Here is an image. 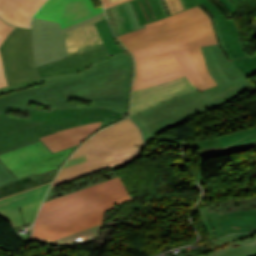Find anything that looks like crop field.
<instances>
[{"label":"crop field","mask_w":256,"mask_h":256,"mask_svg":"<svg viewBox=\"0 0 256 256\" xmlns=\"http://www.w3.org/2000/svg\"><path fill=\"white\" fill-rule=\"evenodd\" d=\"M42 85L0 96V112L37 109L30 103L52 109L105 106L128 113L132 61L127 52L94 62L87 70L41 78Z\"/></svg>","instance_id":"8a807250"},{"label":"crop field","mask_w":256,"mask_h":256,"mask_svg":"<svg viewBox=\"0 0 256 256\" xmlns=\"http://www.w3.org/2000/svg\"><path fill=\"white\" fill-rule=\"evenodd\" d=\"M146 26L117 36L135 61L134 81L179 70L171 51L190 48L204 78L211 87L217 85L207 70L200 46L218 42L210 18L199 6Z\"/></svg>","instance_id":"ac0d7876"},{"label":"crop field","mask_w":256,"mask_h":256,"mask_svg":"<svg viewBox=\"0 0 256 256\" xmlns=\"http://www.w3.org/2000/svg\"><path fill=\"white\" fill-rule=\"evenodd\" d=\"M127 200L131 197L118 177L44 202L32 240L67 245L98 237L104 211Z\"/></svg>","instance_id":"34b2d1b8"},{"label":"crop field","mask_w":256,"mask_h":256,"mask_svg":"<svg viewBox=\"0 0 256 256\" xmlns=\"http://www.w3.org/2000/svg\"><path fill=\"white\" fill-rule=\"evenodd\" d=\"M201 48L208 69L219 85L174 98L132 117L140 126L145 141L151 140L159 129L227 103L253 86L231 61L226 60L218 44Z\"/></svg>","instance_id":"412701ff"},{"label":"crop field","mask_w":256,"mask_h":256,"mask_svg":"<svg viewBox=\"0 0 256 256\" xmlns=\"http://www.w3.org/2000/svg\"><path fill=\"white\" fill-rule=\"evenodd\" d=\"M142 144L141 133L131 119L106 128L83 143L70 158L85 154L88 161L60 170L51 187L143 156L139 148Z\"/></svg>","instance_id":"f4fd0767"},{"label":"crop field","mask_w":256,"mask_h":256,"mask_svg":"<svg viewBox=\"0 0 256 256\" xmlns=\"http://www.w3.org/2000/svg\"><path fill=\"white\" fill-rule=\"evenodd\" d=\"M91 116L107 117L102 128L123 118V115L105 107L49 112L29 110L30 119L6 116V112L0 113V153L39 140L38 137L56 130L81 125L80 118Z\"/></svg>","instance_id":"dd49c442"},{"label":"crop field","mask_w":256,"mask_h":256,"mask_svg":"<svg viewBox=\"0 0 256 256\" xmlns=\"http://www.w3.org/2000/svg\"><path fill=\"white\" fill-rule=\"evenodd\" d=\"M77 147L53 154L39 140L0 154V161L16 179L27 174L38 176L60 169Z\"/></svg>","instance_id":"e52e79f7"},{"label":"crop field","mask_w":256,"mask_h":256,"mask_svg":"<svg viewBox=\"0 0 256 256\" xmlns=\"http://www.w3.org/2000/svg\"><path fill=\"white\" fill-rule=\"evenodd\" d=\"M0 50L10 86L40 78L35 69L30 28L16 27Z\"/></svg>","instance_id":"d8731c3e"},{"label":"crop field","mask_w":256,"mask_h":256,"mask_svg":"<svg viewBox=\"0 0 256 256\" xmlns=\"http://www.w3.org/2000/svg\"><path fill=\"white\" fill-rule=\"evenodd\" d=\"M104 13H100L73 26L60 29V24L32 18L31 31L36 67L67 56L64 33Z\"/></svg>","instance_id":"5a996713"},{"label":"crop field","mask_w":256,"mask_h":256,"mask_svg":"<svg viewBox=\"0 0 256 256\" xmlns=\"http://www.w3.org/2000/svg\"><path fill=\"white\" fill-rule=\"evenodd\" d=\"M207 208L209 212L217 211L222 229L221 236L232 232L256 231V197L235 202L231 199L224 200L207 205Z\"/></svg>","instance_id":"3316defc"},{"label":"crop field","mask_w":256,"mask_h":256,"mask_svg":"<svg viewBox=\"0 0 256 256\" xmlns=\"http://www.w3.org/2000/svg\"><path fill=\"white\" fill-rule=\"evenodd\" d=\"M51 182L0 199V217L13 229L32 222Z\"/></svg>","instance_id":"28ad6ade"},{"label":"crop field","mask_w":256,"mask_h":256,"mask_svg":"<svg viewBox=\"0 0 256 256\" xmlns=\"http://www.w3.org/2000/svg\"><path fill=\"white\" fill-rule=\"evenodd\" d=\"M197 90L186 76L132 92L130 116L158 103Z\"/></svg>","instance_id":"d1516ede"},{"label":"crop field","mask_w":256,"mask_h":256,"mask_svg":"<svg viewBox=\"0 0 256 256\" xmlns=\"http://www.w3.org/2000/svg\"><path fill=\"white\" fill-rule=\"evenodd\" d=\"M102 11L91 0H49L34 17L61 23L63 29Z\"/></svg>","instance_id":"22f410ed"},{"label":"crop field","mask_w":256,"mask_h":256,"mask_svg":"<svg viewBox=\"0 0 256 256\" xmlns=\"http://www.w3.org/2000/svg\"><path fill=\"white\" fill-rule=\"evenodd\" d=\"M173 54L181 70L135 81L133 83V90H137L150 85L161 83V82H164L173 78H177L183 75H186L200 91L210 88L209 84L206 82V80L203 78V76L199 72L189 49L175 51L173 52Z\"/></svg>","instance_id":"cbeb9de0"},{"label":"crop field","mask_w":256,"mask_h":256,"mask_svg":"<svg viewBox=\"0 0 256 256\" xmlns=\"http://www.w3.org/2000/svg\"><path fill=\"white\" fill-rule=\"evenodd\" d=\"M110 58L104 45L84 51L52 63L37 67V70L41 77L61 74V73H70V72H79L85 70L84 67L89 66L91 62Z\"/></svg>","instance_id":"5142ce71"},{"label":"crop field","mask_w":256,"mask_h":256,"mask_svg":"<svg viewBox=\"0 0 256 256\" xmlns=\"http://www.w3.org/2000/svg\"><path fill=\"white\" fill-rule=\"evenodd\" d=\"M100 124L101 122L61 130L40 139L55 153L79 145L80 141L99 128Z\"/></svg>","instance_id":"d9b57169"},{"label":"crop field","mask_w":256,"mask_h":256,"mask_svg":"<svg viewBox=\"0 0 256 256\" xmlns=\"http://www.w3.org/2000/svg\"><path fill=\"white\" fill-rule=\"evenodd\" d=\"M104 17L103 15L65 34L68 56L103 45L93 23Z\"/></svg>","instance_id":"733c2abd"},{"label":"crop field","mask_w":256,"mask_h":256,"mask_svg":"<svg viewBox=\"0 0 256 256\" xmlns=\"http://www.w3.org/2000/svg\"><path fill=\"white\" fill-rule=\"evenodd\" d=\"M45 0H0V15L15 25L29 26V19Z\"/></svg>","instance_id":"4a817a6b"},{"label":"crop field","mask_w":256,"mask_h":256,"mask_svg":"<svg viewBox=\"0 0 256 256\" xmlns=\"http://www.w3.org/2000/svg\"><path fill=\"white\" fill-rule=\"evenodd\" d=\"M202 256H256V235L241 234L205 250Z\"/></svg>","instance_id":"bc2a9ffb"},{"label":"crop field","mask_w":256,"mask_h":256,"mask_svg":"<svg viewBox=\"0 0 256 256\" xmlns=\"http://www.w3.org/2000/svg\"><path fill=\"white\" fill-rule=\"evenodd\" d=\"M123 166L122 164L107 168L105 170L93 173L91 175H88L83 178H79L67 183H64L60 186L55 187V194L53 197L50 198L54 199L78 190H81L83 188L116 178L117 175L114 171V169Z\"/></svg>","instance_id":"214f88e0"},{"label":"crop field","mask_w":256,"mask_h":256,"mask_svg":"<svg viewBox=\"0 0 256 256\" xmlns=\"http://www.w3.org/2000/svg\"><path fill=\"white\" fill-rule=\"evenodd\" d=\"M198 215L203 226L211 236L210 240L218 238L221 234V229L216 212L208 213L207 208L204 206L199 209Z\"/></svg>","instance_id":"92a150f3"},{"label":"crop field","mask_w":256,"mask_h":256,"mask_svg":"<svg viewBox=\"0 0 256 256\" xmlns=\"http://www.w3.org/2000/svg\"><path fill=\"white\" fill-rule=\"evenodd\" d=\"M95 26H96L99 34L101 35L110 55L119 53V52H124V50L121 48V46L114 39V37L109 29L106 19H103V20L95 23Z\"/></svg>","instance_id":"dafd665d"},{"label":"crop field","mask_w":256,"mask_h":256,"mask_svg":"<svg viewBox=\"0 0 256 256\" xmlns=\"http://www.w3.org/2000/svg\"><path fill=\"white\" fill-rule=\"evenodd\" d=\"M14 28L15 26H13L12 24L8 23L7 21L0 17V47L7 39V37L11 34V32L14 30ZM7 86L9 85L4 71L3 58L0 52V88H4Z\"/></svg>","instance_id":"00972430"},{"label":"crop field","mask_w":256,"mask_h":256,"mask_svg":"<svg viewBox=\"0 0 256 256\" xmlns=\"http://www.w3.org/2000/svg\"><path fill=\"white\" fill-rule=\"evenodd\" d=\"M254 133H256V128L247 130V131H243L240 133L232 134V135L219 137V139L223 146H228V145L233 144V143H235L243 138H246Z\"/></svg>","instance_id":"a9b5d70f"},{"label":"crop field","mask_w":256,"mask_h":256,"mask_svg":"<svg viewBox=\"0 0 256 256\" xmlns=\"http://www.w3.org/2000/svg\"><path fill=\"white\" fill-rule=\"evenodd\" d=\"M38 84H42V81L40 79L25 82V83H21V84L11 86V87H8V88L0 89V94L12 92V91H15V90H18V89H22V88H26V87H30V86H34V85H38Z\"/></svg>","instance_id":"4177f3b9"},{"label":"crop field","mask_w":256,"mask_h":256,"mask_svg":"<svg viewBox=\"0 0 256 256\" xmlns=\"http://www.w3.org/2000/svg\"><path fill=\"white\" fill-rule=\"evenodd\" d=\"M222 146L219 139H212V140H204V141H199V142H194L191 144L190 147H195V148H210V147H219Z\"/></svg>","instance_id":"730fd06b"},{"label":"crop field","mask_w":256,"mask_h":256,"mask_svg":"<svg viewBox=\"0 0 256 256\" xmlns=\"http://www.w3.org/2000/svg\"><path fill=\"white\" fill-rule=\"evenodd\" d=\"M15 180L13 175L0 163V185Z\"/></svg>","instance_id":"eef30255"},{"label":"crop field","mask_w":256,"mask_h":256,"mask_svg":"<svg viewBox=\"0 0 256 256\" xmlns=\"http://www.w3.org/2000/svg\"><path fill=\"white\" fill-rule=\"evenodd\" d=\"M104 119L105 118H103V117H91V118H84V119H80L81 120V122H82V124H88V123H94V122H99V121H104ZM103 123V122H102ZM102 125V124H101ZM100 128H101V126H100ZM100 128L99 129H97L96 131H94L92 134H90V135H88L84 140H82V142L83 141H85L87 138H89L91 135H93L94 133H96L98 130H100ZM81 142V143H82ZM80 143V144H81Z\"/></svg>","instance_id":"ae1a2a85"},{"label":"crop field","mask_w":256,"mask_h":256,"mask_svg":"<svg viewBox=\"0 0 256 256\" xmlns=\"http://www.w3.org/2000/svg\"><path fill=\"white\" fill-rule=\"evenodd\" d=\"M128 0H102L104 8L111 7L120 3H123ZM104 2L106 4H104Z\"/></svg>","instance_id":"d3111659"},{"label":"crop field","mask_w":256,"mask_h":256,"mask_svg":"<svg viewBox=\"0 0 256 256\" xmlns=\"http://www.w3.org/2000/svg\"><path fill=\"white\" fill-rule=\"evenodd\" d=\"M84 161H86L85 156H81V157H78L76 159L68 161L66 163V165L64 164L65 166L63 168L69 167V166H72V165H75V164H78V163H81V162H84Z\"/></svg>","instance_id":"750c4746"},{"label":"crop field","mask_w":256,"mask_h":256,"mask_svg":"<svg viewBox=\"0 0 256 256\" xmlns=\"http://www.w3.org/2000/svg\"><path fill=\"white\" fill-rule=\"evenodd\" d=\"M254 141H256V135H254L252 137H249V138H247V139H245L243 141H240V142H238V143H236L234 145L248 143V142H254Z\"/></svg>","instance_id":"bd1437ed"},{"label":"crop field","mask_w":256,"mask_h":256,"mask_svg":"<svg viewBox=\"0 0 256 256\" xmlns=\"http://www.w3.org/2000/svg\"><path fill=\"white\" fill-rule=\"evenodd\" d=\"M53 194H54V188L49 190V192H48L44 201H47Z\"/></svg>","instance_id":"1d83c4d3"},{"label":"crop field","mask_w":256,"mask_h":256,"mask_svg":"<svg viewBox=\"0 0 256 256\" xmlns=\"http://www.w3.org/2000/svg\"><path fill=\"white\" fill-rule=\"evenodd\" d=\"M176 256H185V255L182 253V254H178V255H176Z\"/></svg>","instance_id":"120bbe31"}]
</instances>
